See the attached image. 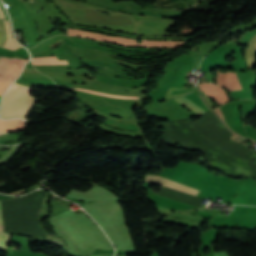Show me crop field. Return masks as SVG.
<instances>
[{
    "mask_svg": "<svg viewBox=\"0 0 256 256\" xmlns=\"http://www.w3.org/2000/svg\"><path fill=\"white\" fill-rule=\"evenodd\" d=\"M33 65H60L67 64L66 60L58 61L56 56L32 58Z\"/></svg>",
    "mask_w": 256,
    "mask_h": 256,
    "instance_id": "5a996713",
    "label": "crop field"
},
{
    "mask_svg": "<svg viewBox=\"0 0 256 256\" xmlns=\"http://www.w3.org/2000/svg\"><path fill=\"white\" fill-rule=\"evenodd\" d=\"M45 192L35 191L10 201H2L5 232H20L33 238H47L37 219Z\"/></svg>",
    "mask_w": 256,
    "mask_h": 256,
    "instance_id": "8a807250",
    "label": "crop field"
},
{
    "mask_svg": "<svg viewBox=\"0 0 256 256\" xmlns=\"http://www.w3.org/2000/svg\"><path fill=\"white\" fill-rule=\"evenodd\" d=\"M24 121L19 119L0 120V132L19 131L23 128Z\"/></svg>",
    "mask_w": 256,
    "mask_h": 256,
    "instance_id": "e52e79f7",
    "label": "crop field"
},
{
    "mask_svg": "<svg viewBox=\"0 0 256 256\" xmlns=\"http://www.w3.org/2000/svg\"><path fill=\"white\" fill-rule=\"evenodd\" d=\"M146 181L154 182V183L163 185L165 187L172 188V189H175L184 193H188L194 196H196V194L198 193V190L180 185L178 183H175L157 176H147Z\"/></svg>",
    "mask_w": 256,
    "mask_h": 256,
    "instance_id": "f4fd0767",
    "label": "crop field"
},
{
    "mask_svg": "<svg viewBox=\"0 0 256 256\" xmlns=\"http://www.w3.org/2000/svg\"><path fill=\"white\" fill-rule=\"evenodd\" d=\"M29 96L30 88L14 83L2 99L0 117L3 119L16 118ZM36 101L30 96L18 118L25 119Z\"/></svg>",
    "mask_w": 256,
    "mask_h": 256,
    "instance_id": "ac0d7876",
    "label": "crop field"
},
{
    "mask_svg": "<svg viewBox=\"0 0 256 256\" xmlns=\"http://www.w3.org/2000/svg\"><path fill=\"white\" fill-rule=\"evenodd\" d=\"M216 72L217 78H215L217 85L223 86L229 90L242 89L235 72L221 73L218 70H216Z\"/></svg>",
    "mask_w": 256,
    "mask_h": 256,
    "instance_id": "412701ff",
    "label": "crop field"
},
{
    "mask_svg": "<svg viewBox=\"0 0 256 256\" xmlns=\"http://www.w3.org/2000/svg\"><path fill=\"white\" fill-rule=\"evenodd\" d=\"M117 256H121V255H117Z\"/></svg>",
    "mask_w": 256,
    "mask_h": 256,
    "instance_id": "cbeb9de0",
    "label": "crop field"
},
{
    "mask_svg": "<svg viewBox=\"0 0 256 256\" xmlns=\"http://www.w3.org/2000/svg\"><path fill=\"white\" fill-rule=\"evenodd\" d=\"M199 86L219 105L230 101L225 91L212 84L203 83Z\"/></svg>",
    "mask_w": 256,
    "mask_h": 256,
    "instance_id": "dd49c442",
    "label": "crop field"
},
{
    "mask_svg": "<svg viewBox=\"0 0 256 256\" xmlns=\"http://www.w3.org/2000/svg\"><path fill=\"white\" fill-rule=\"evenodd\" d=\"M248 45L249 47L245 49V61L248 68H251L256 64V35Z\"/></svg>",
    "mask_w": 256,
    "mask_h": 256,
    "instance_id": "d8731c3e",
    "label": "crop field"
},
{
    "mask_svg": "<svg viewBox=\"0 0 256 256\" xmlns=\"http://www.w3.org/2000/svg\"><path fill=\"white\" fill-rule=\"evenodd\" d=\"M16 62H18L19 64L15 65ZM26 62L27 60L13 58L5 74L2 78H0V97L3 95L6 88L11 84V82L20 74L22 66Z\"/></svg>",
    "mask_w": 256,
    "mask_h": 256,
    "instance_id": "34b2d1b8",
    "label": "crop field"
},
{
    "mask_svg": "<svg viewBox=\"0 0 256 256\" xmlns=\"http://www.w3.org/2000/svg\"><path fill=\"white\" fill-rule=\"evenodd\" d=\"M10 243V234L3 233V220L1 213V201H0V247L7 248Z\"/></svg>",
    "mask_w": 256,
    "mask_h": 256,
    "instance_id": "3316defc",
    "label": "crop field"
},
{
    "mask_svg": "<svg viewBox=\"0 0 256 256\" xmlns=\"http://www.w3.org/2000/svg\"><path fill=\"white\" fill-rule=\"evenodd\" d=\"M76 89L81 90V91H85V92H89V93L101 94V95H105V96H109V97H115V98H127V99H136V97H129V96L114 95V94H108V93L96 92V91L87 90V89H79V88H76Z\"/></svg>",
    "mask_w": 256,
    "mask_h": 256,
    "instance_id": "28ad6ade",
    "label": "crop field"
},
{
    "mask_svg": "<svg viewBox=\"0 0 256 256\" xmlns=\"http://www.w3.org/2000/svg\"><path fill=\"white\" fill-rule=\"evenodd\" d=\"M10 61H11V59L1 57V59H0V77H2V75Z\"/></svg>",
    "mask_w": 256,
    "mask_h": 256,
    "instance_id": "d1516ede",
    "label": "crop field"
},
{
    "mask_svg": "<svg viewBox=\"0 0 256 256\" xmlns=\"http://www.w3.org/2000/svg\"><path fill=\"white\" fill-rule=\"evenodd\" d=\"M0 16H1V18H4V16H3L1 10H0ZM1 33H2V32H0V36H1Z\"/></svg>",
    "mask_w": 256,
    "mask_h": 256,
    "instance_id": "22f410ed",
    "label": "crop field"
}]
</instances>
